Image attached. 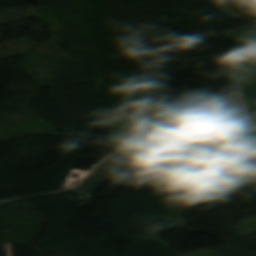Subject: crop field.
Instances as JSON below:
<instances>
[{
  "mask_svg": "<svg viewBox=\"0 0 256 256\" xmlns=\"http://www.w3.org/2000/svg\"><path fill=\"white\" fill-rule=\"evenodd\" d=\"M180 154L167 159L161 157L140 163L112 175L107 181L126 191L138 183L162 173L164 170L196 168L189 151Z\"/></svg>",
  "mask_w": 256,
  "mask_h": 256,
  "instance_id": "1",
  "label": "crop field"
},
{
  "mask_svg": "<svg viewBox=\"0 0 256 256\" xmlns=\"http://www.w3.org/2000/svg\"><path fill=\"white\" fill-rule=\"evenodd\" d=\"M140 162H144V160L135 151L118 153L106 159L102 164L98 165L80 185L71 188L70 190L92 194L113 173L121 171Z\"/></svg>",
  "mask_w": 256,
  "mask_h": 256,
  "instance_id": "2",
  "label": "crop field"
},
{
  "mask_svg": "<svg viewBox=\"0 0 256 256\" xmlns=\"http://www.w3.org/2000/svg\"><path fill=\"white\" fill-rule=\"evenodd\" d=\"M137 124L139 123L128 113L116 117L113 121L102 124V126L111 135L108 140L117 151L149 147L143 137L134 128Z\"/></svg>",
  "mask_w": 256,
  "mask_h": 256,
  "instance_id": "3",
  "label": "crop field"
},
{
  "mask_svg": "<svg viewBox=\"0 0 256 256\" xmlns=\"http://www.w3.org/2000/svg\"><path fill=\"white\" fill-rule=\"evenodd\" d=\"M190 153L197 168L231 166L230 160L248 158L243 144L200 147Z\"/></svg>",
  "mask_w": 256,
  "mask_h": 256,
  "instance_id": "4",
  "label": "crop field"
},
{
  "mask_svg": "<svg viewBox=\"0 0 256 256\" xmlns=\"http://www.w3.org/2000/svg\"><path fill=\"white\" fill-rule=\"evenodd\" d=\"M210 97L213 108L220 105V107L214 108L215 113H232L233 120L226 121L228 127L249 126L238 91L228 93L219 101L214 95ZM233 112H236V115H233Z\"/></svg>",
  "mask_w": 256,
  "mask_h": 256,
  "instance_id": "5",
  "label": "crop field"
},
{
  "mask_svg": "<svg viewBox=\"0 0 256 256\" xmlns=\"http://www.w3.org/2000/svg\"><path fill=\"white\" fill-rule=\"evenodd\" d=\"M255 31H256V26ZM256 74V33L255 48H239L235 54L234 62L230 68L232 84L242 81Z\"/></svg>",
  "mask_w": 256,
  "mask_h": 256,
  "instance_id": "6",
  "label": "crop field"
},
{
  "mask_svg": "<svg viewBox=\"0 0 256 256\" xmlns=\"http://www.w3.org/2000/svg\"><path fill=\"white\" fill-rule=\"evenodd\" d=\"M184 145L189 148H196L206 145H214L220 143H236L240 142L236 136L228 130L216 131L208 134L189 136L184 139H180Z\"/></svg>",
  "mask_w": 256,
  "mask_h": 256,
  "instance_id": "7",
  "label": "crop field"
},
{
  "mask_svg": "<svg viewBox=\"0 0 256 256\" xmlns=\"http://www.w3.org/2000/svg\"><path fill=\"white\" fill-rule=\"evenodd\" d=\"M247 80V79H246ZM239 83L253 126H256V75Z\"/></svg>",
  "mask_w": 256,
  "mask_h": 256,
  "instance_id": "8",
  "label": "crop field"
},
{
  "mask_svg": "<svg viewBox=\"0 0 256 256\" xmlns=\"http://www.w3.org/2000/svg\"><path fill=\"white\" fill-rule=\"evenodd\" d=\"M135 128L142 136L170 130L161 118L139 124Z\"/></svg>",
  "mask_w": 256,
  "mask_h": 256,
  "instance_id": "9",
  "label": "crop field"
},
{
  "mask_svg": "<svg viewBox=\"0 0 256 256\" xmlns=\"http://www.w3.org/2000/svg\"><path fill=\"white\" fill-rule=\"evenodd\" d=\"M218 10H220L222 13L227 15L228 17L232 18L233 20H238L240 18L251 21L250 19L236 13L232 9H230L222 0H209Z\"/></svg>",
  "mask_w": 256,
  "mask_h": 256,
  "instance_id": "10",
  "label": "crop field"
},
{
  "mask_svg": "<svg viewBox=\"0 0 256 256\" xmlns=\"http://www.w3.org/2000/svg\"><path fill=\"white\" fill-rule=\"evenodd\" d=\"M241 142L256 143V129L232 130Z\"/></svg>",
  "mask_w": 256,
  "mask_h": 256,
  "instance_id": "11",
  "label": "crop field"
},
{
  "mask_svg": "<svg viewBox=\"0 0 256 256\" xmlns=\"http://www.w3.org/2000/svg\"><path fill=\"white\" fill-rule=\"evenodd\" d=\"M249 158H256V144H245Z\"/></svg>",
  "mask_w": 256,
  "mask_h": 256,
  "instance_id": "12",
  "label": "crop field"
}]
</instances>
